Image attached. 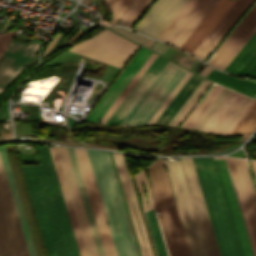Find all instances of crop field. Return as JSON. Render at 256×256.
<instances>
[{
  "mask_svg": "<svg viewBox=\"0 0 256 256\" xmlns=\"http://www.w3.org/2000/svg\"><path fill=\"white\" fill-rule=\"evenodd\" d=\"M213 158L214 159H224V161H225V164H226V167H227L230 179H231V183H232V186H233V189H234L237 201H238V205H239V208L241 211V215H242L245 229H246V232L248 235L252 253H253V256H256V245H255V242H256V194L252 188V184H251L250 178L248 176L247 163H246V161L232 159V163H233L234 170H235V173L237 176L241 194H242V197L244 200V204H245L248 218L250 221V225H251V228L253 231L255 242H254L251 228H250V225L248 222L244 204H243V201L241 198L239 187H238V184L236 181L234 170H233V167L231 164V160H230V158H227V157H213ZM214 161H215V165L217 168V172H218L221 186H222V189L224 192V196L226 199V203L228 206V210L230 213V217H231L232 224H233V227L235 230V234L237 237V241L239 244L241 254H242V256H252L249 242L247 239V235H246L244 225L242 222V218L240 215V211H239V208L237 205V201H236V198H235V195H234V192H233L230 180H229V176H228L224 161L223 160H214ZM226 161L231 169L237 193L235 191L234 184H233Z\"/></svg>",
  "mask_w": 256,
  "mask_h": 256,
  "instance_id": "crop-field-1",
  "label": "crop field"
},
{
  "mask_svg": "<svg viewBox=\"0 0 256 256\" xmlns=\"http://www.w3.org/2000/svg\"><path fill=\"white\" fill-rule=\"evenodd\" d=\"M118 256H138L108 152L86 150Z\"/></svg>",
  "mask_w": 256,
  "mask_h": 256,
  "instance_id": "crop-field-2",
  "label": "crop field"
},
{
  "mask_svg": "<svg viewBox=\"0 0 256 256\" xmlns=\"http://www.w3.org/2000/svg\"><path fill=\"white\" fill-rule=\"evenodd\" d=\"M221 256H241L212 157H192Z\"/></svg>",
  "mask_w": 256,
  "mask_h": 256,
  "instance_id": "crop-field-3",
  "label": "crop field"
},
{
  "mask_svg": "<svg viewBox=\"0 0 256 256\" xmlns=\"http://www.w3.org/2000/svg\"><path fill=\"white\" fill-rule=\"evenodd\" d=\"M158 213H162L161 224L170 256H190L166 169L162 159L145 167Z\"/></svg>",
  "mask_w": 256,
  "mask_h": 256,
  "instance_id": "crop-field-4",
  "label": "crop field"
},
{
  "mask_svg": "<svg viewBox=\"0 0 256 256\" xmlns=\"http://www.w3.org/2000/svg\"><path fill=\"white\" fill-rule=\"evenodd\" d=\"M48 256H68L42 166L22 167Z\"/></svg>",
  "mask_w": 256,
  "mask_h": 256,
  "instance_id": "crop-field-5",
  "label": "crop field"
},
{
  "mask_svg": "<svg viewBox=\"0 0 256 256\" xmlns=\"http://www.w3.org/2000/svg\"><path fill=\"white\" fill-rule=\"evenodd\" d=\"M164 161H180L165 158ZM191 256H208L180 162H165Z\"/></svg>",
  "mask_w": 256,
  "mask_h": 256,
  "instance_id": "crop-field-6",
  "label": "crop field"
},
{
  "mask_svg": "<svg viewBox=\"0 0 256 256\" xmlns=\"http://www.w3.org/2000/svg\"><path fill=\"white\" fill-rule=\"evenodd\" d=\"M185 72L169 62L120 125H145Z\"/></svg>",
  "mask_w": 256,
  "mask_h": 256,
  "instance_id": "crop-field-7",
  "label": "crop field"
},
{
  "mask_svg": "<svg viewBox=\"0 0 256 256\" xmlns=\"http://www.w3.org/2000/svg\"><path fill=\"white\" fill-rule=\"evenodd\" d=\"M137 47L105 29L100 34L74 45L70 52L122 68Z\"/></svg>",
  "mask_w": 256,
  "mask_h": 256,
  "instance_id": "crop-field-8",
  "label": "crop field"
},
{
  "mask_svg": "<svg viewBox=\"0 0 256 256\" xmlns=\"http://www.w3.org/2000/svg\"><path fill=\"white\" fill-rule=\"evenodd\" d=\"M0 256H29L0 160Z\"/></svg>",
  "mask_w": 256,
  "mask_h": 256,
  "instance_id": "crop-field-9",
  "label": "crop field"
},
{
  "mask_svg": "<svg viewBox=\"0 0 256 256\" xmlns=\"http://www.w3.org/2000/svg\"><path fill=\"white\" fill-rule=\"evenodd\" d=\"M106 256H117L85 149L74 148Z\"/></svg>",
  "mask_w": 256,
  "mask_h": 256,
  "instance_id": "crop-field-10",
  "label": "crop field"
},
{
  "mask_svg": "<svg viewBox=\"0 0 256 256\" xmlns=\"http://www.w3.org/2000/svg\"><path fill=\"white\" fill-rule=\"evenodd\" d=\"M255 31L256 3L220 45L219 53L214 55L207 63L224 70Z\"/></svg>",
  "mask_w": 256,
  "mask_h": 256,
  "instance_id": "crop-field-11",
  "label": "crop field"
},
{
  "mask_svg": "<svg viewBox=\"0 0 256 256\" xmlns=\"http://www.w3.org/2000/svg\"><path fill=\"white\" fill-rule=\"evenodd\" d=\"M40 45L41 42L33 37L29 44L11 39L5 51L7 55L0 63V93L16 78L23 67L28 64Z\"/></svg>",
  "mask_w": 256,
  "mask_h": 256,
  "instance_id": "crop-field-12",
  "label": "crop field"
},
{
  "mask_svg": "<svg viewBox=\"0 0 256 256\" xmlns=\"http://www.w3.org/2000/svg\"><path fill=\"white\" fill-rule=\"evenodd\" d=\"M61 225L69 256H79L48 147L37 146Z\"/></svg>",
  "mask_w": 256,
  "mask_h": 256,
  "instance_id": "crop-field-13",
  "label": "crop field"
},
{
  "mask_svg": "<svg viewBox=\"0 0 256 256\" xmlns=\"http://www.w3.org/2000/svg\"><path fill=\"white\" fill-rule=\"evenodd\" d=\"M209 256H220L191 157L180 158Z\"/></svg>",
  "mask_w": 256,
  "mask_h": 256,
  "instance_id": "crop-field-14",
  "label": "crop field"
},
{
  "mask_svg": "<svg viewBox=\"0 0 256 256\" xmlns=\"http://www.w3.org/2000/svg\"><path fill=\"white\" fill-rule=\"evenodd\" d=\"M151 53L152 52L142 47L140 48L137 54L133 57V59L119 75V77L115 80V82L111 85L108 91L104 94L101 100L87 116V121L98 123L104 113L112 105V103L119 96V94L122 92V90L129 83V81L132 79V77L135 75V73L138 71V69L142 66V64Z\"/></svg>",
  "mask_w": 256,
  "mask_h": 256,
  "instance_id": "crop-field-15",
  "label": "crop field"
},
{
  "mask_svg": "<svg viewBox=\"0 0 256 256\" xmlns=\"http://www.w3.org/2000/svg\"><path fill=\"white\" fill-rule=\"evenodd\" d=\"M57 156L61 165V169L65 178V182L69 191V195L73 204V208L77 217V221L84 240L87 256H97L93 240L90 234L86 216L83 210L81 199L78 193L76 182L73 176L69 158L65 147H55Z\"/></svg>",
  "mask_w": 256,
  "mask_h": 256,
  "instance_id": "crop-field-16",
  "label": "crop field"
},
{
  "mask_svg": "<svg viewBox=\"0 0 256 256\" xmlns=\"http://www.w3.org/2000/svg\"><path fill=\"white\" fill-rule=\"evenodd\" d=\"M187 0H157L134 30L154 38L163 30Z\"/></svg>",
  "mask_w": 256,
  "mask_h": 256,
  "instance_id": "crop-field-17",
  "label": "crop field"
},
{
  "mask_svg": "<svg viewBox=\"0 0 256 256\" xmlns=\"http://www.w3.org/2000/svg\"><path fill=\"white\" fill-rule=\"evenodd\" d=\"M167 63L157 56L105 124L119 125Z\"/></svg>",
  "mask_w": 256,
  "mask_h": 256,
  "instance_id": "crop-field-18",
  "label": "crop field"
},
{
  "mask_svg": "<svg viewBox=\"0 0 256 256\" xmlns=\"http://www.w3.org/2000/svg\"><path fill=\"white\" fill-rule=\"evenodd\" d=\"M253 0H236L192 54L202 59L212 51ZM202 48V50H200Z\"/></svg>",
  "mask_w": 256,
  "mask_h": 256,
  "instance_id": "crop-field-19",
  "label": "crop field"
},
{
  "mask_svg": "<svg viewBox=\"0 0 256 256\" xmlns=\"http://www.w3.org/2000/svg\"><path fill=\"white\" fill-rule=\"evenodd\" d=\"M112 154H113L116 166H117L120 181L122 183L125 199H126V202H127L129 212H130V216H131V218L133 220V223H134V226H135V230H136L139 245H140L141 254H142V256H152V252H151L150 245H149V242H148V238H147V235H146V232H145V228H144L143 221H142V218H141V214H140V211H139V207H138V204H137V201H136V197H135V194H134L132 183H131V180H130V177H129L127 166H126V163H125V160H124V156L120 155V154H114V153H112ZM131 201L134 205L135 213H136L139 225H140V229H141V233H142V236H143V240H144V243H145L147 253L145 251L144 243H143V240H142V237H141V234H140V231H139V228H138V225H137L134 213H133Z\"/></svg>",
  "mask_w": 256,
  "mask_h": 256,
  "instance_id": "crop-field-20",
  "label": "crop field"
},
{
  "mask_svg": "<svg viewBox=\"0 0 256 256\" xmlns=\"http://www.w3.org/2000/svg\"><path fill=\"white\" fill-rule=\"evenodd\" d=\"M134 177H135V180H136V184H137L139 193L141 195V202H142L143 211L144 212L147 211L148 207H147V203H146V199H145V195H144L142 182H143V184L145 186V189H146L149 209L154 208L155 205H154L153 197H152V194H151V191H150V188H149L148 179H147L145 169H142L140 172H138L136 175H134ZM141 180H142V182H141ZM153 210H156V209L154 208L150 211H153ZM150 211H147V212H150ZM147 212H145V213H147ZM146 215H147V219H148V222H149V225H150V229H151V232H152V236H153V239H154V243H155V246H156V249H157L158 256H167V253H166V250H165V247H164V243H163V240H162V237H161L162 233L160 234V230H159V227H158V224H157L156 217L154 216V213L150 212V213H147ZM146 215H145V218H146ZM147 219H146V221H147ZM148 222H147V225H148ZM148 228H149V226H148ZM150 229H149V232H150ZM151 232H150V235H151ZM152 236H151V239H152ZM153 239H152V242H153ZM154 243H153V245H154ZM155 246H154V249H155ZM155 252H156V250H155ZM157 253H156V256H157Z\"/></svg>",
  "mask_w": 256,
  "mask_h": 256,
  "instance_id": "crop-field-21",
  "label": "crop field"
},
{
  "mask_svg": "<svg viewBox=\"0 0 256 256\" xmlns=\"http://www.w3.org/2000/svg\"><path fill=\"white\" fill-rule=\"evenodd\" d=\"M5 148H6L8 159H9V162H10V165H11V169H12V172H13V176H14L15 183H16V186H17V190H18V193H19V197H20V200H21V203H22V207H23V210H24V214H25V217H26V221H27V224H28V228H29L30 235H31V238H32V241H33V245H34V248H35L36 255L37 256H45L44 252H43V249H42L40 239H39V235H38V232H37V229H36V225H35V222H34V219H33V215H32L31 209H30L28 198H27V195H26V192H25V188H24V185H23V182H22V178H21V175H20V172H19V168H18V165H17V162H16L15 155H14V153H12L10 155L8 153V151H10V150L13 151V148H12V146H6Z\"/></svg>",
  "mask_w": 256,
  "mask_h": 256,
  "instance_id": "crop-field-22",
  "label": "crop field"
},
{
  "mask_svg": "<svg viewBox=\"0 0 256 256\" xmlns=\"http://www.w3.org/2000/svg\"><path fill=\"white\" fill-rule=\"evenodd\" d=\"M229 1L232 2L233 0ZM233 2L230 3L226 0H219L212 10L207 14V16L202 20V22L197 26V28L192 32V34L187 38V40L182 44L181 48L192 53L203 38L208 34V32L213 28V26L218 22V20L223 16V14L228 10V8L233 4Z\"/></svg>",
  "mask_w": 256,
  "mask_h": 256,
  "instance_id": "crop-field-23",
  "label": "crop field"
},
{
  "mask_svg": "<svg viewBox=\"0 0 256 256\" xmlns=\"http://www.w3.org/2000/svg\"><path fill=\"white\" fill-rule=\"evenodd\" d=\"M206 1L207 0H188L159 34L157 39L171 44Z\"/></svg>",
  "mask_w": 256,
  "mask_h": 256,
  "instance_id": "crop-field-24",
  "label": "crop field"
},
{
  "mask_svg": "<svg viewBox=\"0 0 256 256\" xmlns=\"http://www.w3.org/2000/svg\"><path fill=\"white\" fill-rule=\"evenodd\" d=\"M66 148H67V152H68V155H69V158H70L72 169H73V172H74V175H75V179H76V182H77L79 193H80V196H81V199H82L84 210H85V213H86V216H87L89 227H90V230H91V233H92V237H93V240H94V244H95V247H96L97 254H98V256H105L103 248H102V244H101V241H100V238H99V234H98V231H97V228H96L95 220H94V217L92 215L90 204H89V201H88V198H87V194H86V191H85V187H84V184H83V180H82V177H81L79 166H78V163H77V160H76L74 149L69 148V147H66Z\"/></svg>",
  "mask_w": 256,
  "mask_h": 256,
  "instance_id": "crop-field-25",
  "label": "crop field"
},
{
  "mask_svg": "<svg viewBox=\"0 0 256 256\" xmlns=\"http://www.w3.org/2000/svg\"><path fill=\"white\" fill-rule=\"evenodd\" d=\"M202 78L191 75L185 85L181 88L175 98L171 101L165 111L161 114L154 125L167 126L176 112L179 110L180 106L186 101L190 94L194 91L197 85L201 82Z\"/></svg>",
  "mask_w": 256,
  "mask_h": 256,
  "instance_id": "crop-field-26",
  "label": "crop field"
},
{
  "mask_svg": "<svg viewBox=\"0 0 256 256\" xmlns=\"http://www.w3.org/2000/svg\"><path fill=\"white\" fill-rule=\"evenodd\" d=\"M0 156H1V159H2V163H3L4 170H5V173H6V176H7V180H8L9 187H10V190H11V193H12V197H13V200H14V204H15V207H16V210H17L19 220H20V224H21V227H22V231H23V234H24V237H25V241H26V244H27L29 254H30V256H36L35 252H34L32 242H31V238H30V235H29V231H28V228H27V224H26V221H25V217H24V214H23V210H22V207H21V204H20V200H19V197H18V193H17V190H16V186H15V183H14V179H13V176H12V172H11V169H10V166H9V162H8L7 155H6L4 147L0 148Z\"/></svg>",
  "mask_w": 256,
  "mask_h": 256,
  "instance_id": "crop-field-27",
  "label": "crop field"
},
{
  "mask_svg": "<svg viewBox=\"0 0 256 256\" xmlns=\"http://www.w3.org/2000/svg\"><path fill=\"white\" fill-rule=\"evenodd\" d=\"M49 148H50V152H51L52 159H53V162H54V166H55V169H56V173H57V176H58V180H59V183H60V187H61V190H62V194H63V197H64V201H65V204H66V207H67V211H68V214H69V218H70V221H71V225H72V228H73V232H74V235H75V239H76V242H77V246H78V249H79L80 256H86L85 248H84V245H83V242H82V239H81V235H80V231H79V228H78L75 216H74V212H73V209H72V206H71V202H70V199H69V196H68V192H67V189H66V186H65V182H64V179H63V176H62V172H61V169H60V166H59V162H58V159H57V156H56L55 149H54V147H49Z\"/></svg>",
  "mask_w": 256,
  "mask_h": 256,
  "instance_id": "crop-field-28",
  "label": "crop field"
},
{
  "mask_svg": "<svg viewBox=\"0 0 256 256\" xmlns=\"http://www.w3.org/2000/svg\"><path fill=\"white\" fill-rule=\"evenodd\" d=\"M208 78L252 96L256 93V83L252 81H242L238 78L215 70L211 72Z\"/></svg>",
  "mask_w": 256,
  "mask_h": 256,
  "instance_id": "crop-field-29",
  "label": "crop field"
},
{
  "mask_svg": "<svg viewBox=\"0 0 256 256\" xmlns=\"http://www.w3.org/2000/svg\"><path fill=\"white\" fill-rule=\"evenodd\" d=\"M223 87L218 85H214V87L210 90V92L206 95V97L200 103L201 105L197 110L193 109L189 116L182 123V127L192 129L196 122L200 119V117L204 114L207 108L211 105V103L215 100L218 94L222 91Z\"/></svg>",
  "mask_w": 256,
  "mask_h": 256,
  "instance_id": "crop-field-30",
  "label": "crop field"
},
{
  "mask_svg": "<svg viewBox=\"0 0 256 256\" xmlns=\"http://www.w3.org/2000/svg\"><path fill=\"white\" fill-rule=\"evenodd\" d=\"M255 50L256 32L245 44V46L240 50L236 57L231 61V63L226 67L225 71L237 73L239 69L244 65V63L249 59V57L254 53Z\"/></svg>",
  "mask_w": 256,
  "mask_h": 256,
  "instance_id": "crop-field-31",
  "label": "crop field"
},
{
  "mask_svg": "<svg viewBox=\"0 0 256 256\" xmlns=\"http://www.w3.org/2000/svg\"><path fill=\"white\" fill-rule=\"evenodd\" d=\"M256 128V100L233 128L229 135L251 134Z\"/></svg>",
  "mask_w": 256,
  "mask_h": 256,
  "instance_id": "crop-field-32",
  "label": "crop field"
},
{
  "mask_svg": "<svg viewBox=\"0 0 256 256\" xmlns=\"http://www.w3.org/2000/svg\"><path fill=\"white\" fill-rule=\"evenodd\" d=\"M216 2L217 0H208L200 9V11L195 15V17L190 21V23L185 27V29L180 33V35L175 39L172 45L179 47Z\"/></svg>",
  "mask_w": 256,
  "mask_h": 256,
  "instance_id": "crop-field-33",
  "label": "crop field"
},
{
  "mask_svg": "<svg viewBox=\"0 0 256 256\" xmlns=\"http://www.w3.org/2000/svg\"><path fill=\"white\" fill-rule=\"evenodd\" d=\"M157 55L151 54V56L148 58V60L144 63V65L141 67V69L138 71V73L134 76V78L131 80V82L127 85V87L124 89V91L120 94V96L117 98V100L113 103V105L110 107V109L107 111V113L103 116V118L100 120L99 123L104 124L105 121L108 119V117L112 114V112L116 109V107L119 105V103L123 100V98L126 96V94L130 91V89L133 87V85L137 82V80L140 78V76L143 74V72L147 69V67L150 65V63L153 61V59Z\"/></svg>",
  "mask_w": 256,
  "mask_h": 256,
  "instance_id": "crop-field-34",
  "label": "crop field"
},
{
  "mask_svg": "<svg viewBox=\"0 0 256 256\" xmlns=\"http://www.w3.org/2000/svg\"><path fill=\"white\" fill-rule=\"evenodd\" d=\"M148 0H133L114 24L127 26Z\"/></svg>",
  "mask_w": 256,
  "mask_h": 256,
  "instance_id": "crop-field-35",
  "label": "crop field"
},
{
  "mask_svg": "<svg viewBox=\"0 0 256 256\" xmlns=\"http://www.w3.org/2000/svg\"><path fill=\"white\" fill-rule=\"evenodd\" d=\"M238 93L233 91L227 96V98L223 101L220 107L216 110V112L212 115L209 121L205 124L201 131L209 132L210 129L214 126V124L218 121V119L222 116L225 110L229 107V105L233 102V100L237 97Z\"/></svg>",
  "mask_w": 256,
  "mask_h": 256,
  "instance_id": "crop-field-36",
  "label": "crop field"
},
{
  "mask_svg": "<svg viewBox=\"0 0 256 256\" xmlns=\"http://www.w3.org/2000/svg\"><path fill=\"white\" fill-rule=\"evenodd\" d=\"M192 73L186 72V74L183 76V78L179 81V83L175 86V88L172 90V92L168 95V97L165 99V101L161 104V106L158 108V110L154 113V115L150 118V120L147 122L146 125H153L154 122L157 120V118L160 116V114L164 111V109L167 107V105L170 103V101L174 98V96L177 94V92L180 90V88L184 85V83L187 81V79L190 77Z\"/></svg>",
  "mask_w": 256,
  "mask_h": 256,
  "instance_id": "crop-field-37",
  "label": "crop field"
},
{
  "mask_svg": "<svg viewBox=\"0 0 256 256\" xmlns=\"http://www.w3.org/2000/svg\"><path fill=\"white\" fill-rule=\"evenodd\" d=\"M230 90L224 88L223 91L220 93V95L216 98V100L212 103V105L209 107V109L205 112V114L201 117V119L198 121V123L194 126L193 129L195 130H201V128L204 126V124L208 121V119L211 117V115L215 112V110L219 107V105L222 103V101L226 98V96L229 94Z\"/></svg>",
  "mask_w": 256,
  "mask_h": 256,
  "instance_id": "crop-field-38",
  "label": "crop field"
},
{
  "mask_svg": "<svg viewBox=\"0 0 256 256\" xmlns=\"http://www.w3.org/2000/svg\"><path fill=\"white\" fill-rule=\"evenodd\" d=\"M250 100H251V98H249L247 96L244 97V99L241 101V103L238 105V107L234 110V112L231 114V116L228 118V120L224 123V125L218 131V133H217L218 135L225 134V132L232 125V123L236 120V118L243 111V109L247 106V104L250 102Z\"/></svg>",
  "mask_w": 256,
  "mask_h": 256,
  "instance_id": "crop-field-39",
  "label": "crop field"
},
{
  "mask_svg": "<svg viewBox=\"0 0 256 256\" xmlns=\"http://www.w3.org/2000/svg\"><path fill=\"white\" fill-rule=\"evenodd\" d=\"M244 95L239 94L238 97L234 100V102L230 105V107L226 110L223 116L219 119V121L215 124V126L211 129L210 133L216 134L223 123L227 120L233 110L237 107L240 101L243 99Z\"/></svg>",
  "mask_w": 256,
  "mask_h": 256,
  "instance_id": "crop-field-40",
  "label": "crop field"
},
{
  "mask_svg": "<svg viewBox=\"0 0 256 256\" xmlns=\"http://www.w3.org/2000/svg\"><path fill=\"white\" fill-rule=\"evenodd\" d=\"M132 0H113L110 4L113 16L110 24H113L114 21L119 17V15L124 11L128 4Z\"/></svg>",
  "mask_w": 256,
  "mask_h": 256,
  "instance_id": "crop-field-41",
  "label": "crop field"
},
{
  "mask_svg": "<svg viewBox=\"0 0 256 256\" xmlns=\"http://www.w3.org/2000/svg\"><path fill=\"white\" fill-rule=\"evenodd\" d=\"M256 78V51L238 72Z\"/></svg>",
  "mask_w": 256,
  "mask_h": 256,
  "instance_id": "crop-field-42",
  "label": "crop field"
},
{
  "mask_svg": "<svg viewBox=\"0 0 256 256\" xmlns=\"http://www.w3.org/2000/svg\"><path fill=\"white\" fill-rule=\"evenodd\" d=\"M211 82L207 81L203 88L199 91V93L195 96L192 102L188 105L185 111L181 114V116L177 119L173 126H178L179 123L183 120V118L188 114L189 108L194 106V104L198 101V99L202 96V94L206 91V89L210 86Z\"/></svg>",
  "mask_w": 256,
  "mask_h": 256,
  "instance_id": "crop-field-43",
  "label": "crop field"
},
{
  "mask_svg": "<svg viewBox=\"0 0 256 256\" xmlns=\"http://www.w3.org/2000/svg\"><path fill=\"white\" fill-rule=\"evenodd\" d=\"M111 28L117 30L118 32L122 33L123 35H125V36H127V37H129V38H131V39L141 43V44L146 39V37L141 36L139 34H136V33L132 32V31L126 29V28H119V27H111Z\"/></svg>",
  "mask_w": 256,
  "mask_h": 256,
  "instance_id": "crop-field-44",
  "label": "crop field"
},
{
  "mask_svg": "<svg viewBox=\"0 0 256 256\" xmlns=\"http://www.w3.org/2000/svg\"><path fill=\"white\" fill-rule=\"evenodd\" d=\"M206 80H202V82L199 84V86L195 89V91L191 94V96L188 98V100L184 103L183 107L178 111V113L175 115V117L172 119V121L169 123L168 126H172L173 123L176 121V119L180 116V114L184 111V109L187 107V105L191 102V100L194 98V96L198 93V91L202 88V86L205 84Z\"/></svg>",
  "mask_w": 256,
  "mask_h": 256,
  "instance_id": "crop-field-45",
  "label": "crop field"
},
{
  "mask_svg": "<svg viewBox=\"0 0 256 256\" xmlns=\"http://www.w3.org/2000/svg\"><path fill=\"white\" fill-rule=\"evenodd\" d=\"M14 33H15V30L0 34V52L2 53L4 52L10 38L13 37Z\"/></svg>",
  "mask_w": 256,
  "mask_h": 256,
  "instance_id": "crop-field-46",
  "label": "crop field"
},
{
  "mask_svg": "<svg viewBox=\"0 0 256 256\" xmlns=\"http://www.w3.org/2000/svg\"><path fill=\"white\" fill-rule=\"evenodd\" d=\"M153 2V0H149L145 6L140 10V12L135 16V18L130 22L128 27H132L133 24L138 20V18L143 14V12L148 8V6Z\"/></svg>",
  "mask_w": 256,
  "mask_h": 256,
  "instance_id": "crop-field-47",
  "label": "crop field"
},
{
  "mask_svg": "<svg viewBox=\"0 0 256 256\" xmlns=\"http://www.w3.org/2000/svg\"><path fill=\"white\" fill-rule=\"evenodd\" d=\"M167 47L168 46H166V45H164V44H162L160 42L155 41V43H154V45L152 47V50H155V51H157V52L162 54Z\"/></svg>",
  "mask_w": 256,
  "mask_h": 256,
  "instance_id": "crop-field-48",
  "label": "crop field"
},
{
  "mask_svg": "<svg viewBox=\"0 0 256 256\" xmlns=\"http://www.w3.org/2000/svg\"><path fill=\"white\" fill-rule=\"evenodd\" d=\"M213 68H211V67H209V66H205L204 68H203V70L200 72V74H202V75H204V76H208V74L211 72V70H212Z\"/></svg>",
  "mask_w": 256,
  "mask_h": 256,
  "instance_id": "crop-field-49",
  "label": "crop field"
},
{
  "mask_svg": "<svg viewBox=\"0 0 256 256\" xmlns=\"http://www.w3.org/2000/svg\"><path fill=\"white\" fill-rule=\"evenodd\" d=\"M253 99L251 100V102L248 104V106L244 109V111L240 114V116L237 118V120L233 123V125L229 128V130L226 132L225 135H228L229 132L232 130V128L235 126V124L237 123V121L239 120V118L242 116V114L245 112V110L249 107V105L252 103Z\"/></svg>",
  "mask_w": 256,
  "mask_h": 256,
  "instance_id": "crop-field-50",
  "label": "crop field"
},
{
  "mask_svg": "<svg viewBox=\"0 0 256 256\" xmlns=\"http://www.w3.org/2000/svg\"><path fill=\"white\" fill-rule=\"evenodd\" d=\"M0 120H6L5 112H4V108L3 107L0 110Z\"/></svg>",
  "mask_w": 256,
  "mask_h": 256,
  "instance_id": "crop-field-51",
  "label": "crop field"
},
{
  "mask_svg": "<svg viewBox=\"0 0 256 256\" xmlns=\"http://www.w3.org/2000/svg\"><path fill=\"white\" fill-rule=\"evenodd\" d=\"M251 161V165H252V168H253V172H254V175H255V179H256V161Z\"/></svg>",
  "mask_w": 256,
  "mask_h": 256,
  "instance_id": "crop-field-52",
  "label": "crop field"
},
{
  "mask_svg": "<svg viewBox=\"0 0 256 256\" xmlns=\"http://www.w3.org/2000/svg\"><path fill=\"white\" fill-rule=\"evenodd\" d=\"M153 41H154V40L148 38V40H147L143 45H145V46H147V47L150 48V46H151V44L153 43ZM152 45H153V44H152Z\"/></svg>",
  "mask_w": 256,
  "mask_h": 256,
  "instance_id": "crop-field-53",
  "label": "crop field"
},
{
  "mask_svg": "<svg viewBox=\"0 0 256 256\" xmlns=\"http://www.w3.org/2000/svg\"><path fill=\"white\" fill-rule=\"evenodd\" d=\"M8 20H9V19H7V21H6V23H5V25H4L3 29H2V31L4 30V28H5V26H6L7 22H8ZM10 21H11V19L9 20V22H8V24H7L6 28H5V30L7 29V27H8V25H9ZM5 30H4V31H5ZM2 31H1V32H2Z\"/></svg>",
  "mask_w": 256,
  "mask_h": 256,
  "instance_id": "crop-field-54",
  "label": "crop field"
},
{
  "mask_svg": "<svg viewBox=\"0 0 256 256\" xmlns=\"http://www.w3.org/2000/svg\"><path fill=\"white\" fill-rule=\"evenodd\" d=\"M6 104H7V103L4 104V107H5L6 117H7V119H8V118H9V115H8L7 110H6Z\"/></svg>",
  "mask_w": 256,
  "mask_h": 256,
  "instance_id": "crop-field-55",
  "label": "crop field"
},
{
  "mask_svg": "<svg viewBox=\"0 0 256 256\" xmlns=\"http://www.w3.org/2000/svg\"><path fill=\"white\" fill-rule=\"evenodd\" d=\"M83 146H85V145H83ZM90 147H99V146H90ZM99 148H107V147H99ZM107 149H113V148H107ZM115 150H117V149H115Z\"/></svg>",
  "mask_w": 256,
  "mask_h": 256,
  "instance_id": "crop-field-56",
  "label": "crop field"
},
{
  "mask_svg": "<svg viewBox=\"0 0 256 256\" xmlns=\"http://www.w3.org/2000/svg\"><path fill=\"white\" fill-rule=\"evenodd\" d=\"M44 141L53 142V141H49V140H46V139ZM53 143H57V142H53ZM61 144H63V143H61ZM69 145H75V144H69ZM77 146H79V145H77Z\"/></svg>",
  "mask_w": 256,
  "mask_h": 256,
  "instance_id": "crop-field-57",
  "label": "crop field"
},
{
  "mask_svg": "<svg viewBox=\"0 0 256 256\" xmlns=\"http://www.w3.org/2000/svg\"><path fill=\"white\" fill-rule=\"evenodd\" d=\"M106 1H107L108 4H110V2H111L112 0H106Z\"/></svg>",
  "mask_w": 256,
  "mask_h": 256,
  "instance_id": "crop-field-58",
  "label": "crop field"
},
{
  "mask_svg": "<svg viewBox=\"0 0 256 256\" xmlns=\"http://www.w3.org/2000/svg\"><path fill=\"white\" fill-rule=\"evenodd\" d=\"M2 55V53H0V56Z\"/></svg>",
  "mask_w": 256,
  "mask_h": 256,
  "instance_id": "crop-field-59",
  "label": "crop field"
},
{
  "mask_svg": "<svg viewBox=\"0 0 256 256\" xmlns=\"http://www.w3.org/2000/svg\"><path fill=\"white\" fill-rule=\"evenodd\" d=\"M255 97H256V95H255Z\"/></svg>",
  "mask_w": 256,
  "mask_h": 256,
  "instance_id": "crop-field-60",
  "label": "crop field"
}]
</instances>
